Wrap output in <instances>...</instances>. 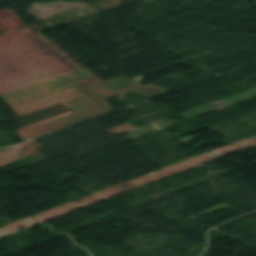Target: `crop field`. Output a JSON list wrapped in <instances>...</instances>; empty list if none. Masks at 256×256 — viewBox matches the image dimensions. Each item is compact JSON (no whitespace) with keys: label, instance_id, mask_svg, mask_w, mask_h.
Masks as SVG:
<instances>
[{"label":"crop field","instance_id":"crop-field-4","mask_svg":"<svg viewBox=\"0 0 256 256\" xmlns=\"http://www.w3.org/2000/svg\"><path fill=\"white\" fill-rule=\"evenodd\" d=\"M153 88H157L158 90L154 91V92H151V93H147V94L142 93V92H144L146 90L153 89ZM165 90H168V89L165 88V87H162V86H158V85H151V86H147V87H144L142 89H139L137 91H133L132 93L139 94V95H141L143 97H149V96H152L154 94H157V93L165 91Z\"/></svg>","mask_w":256,"mask_h":256},{"label":"crop field","instance_id":"crop-field-2","mask_svg":"<svg viewBox=\"0 0 256 256\" xmlns=\"http://www.w3.org/2000/svg\"><path fill=\"white\" fill-rule=\"evenodd\" d=\"M137 79L131 80L127 79L104 88L83 94L89 101L94 105L87 108L76 111L70 115L19 131V136L24 140H29L34 137L49 133L51 131L66 127L68 125L86 120L88 118L103 114L105 112L111 111L107 104L102 100L104 98L117 95L120 92H130L137 90L144 86L137 84V86L129 87L130 84L137 82Z\"/></svg>","mask_w":256,"mask_h":256},{"label":"crop field","instance_id":"crop-field-1","mask_svg":"<svg viewBox=\"0 0 256 256\" xmlns=\"http://www.w3.org/2000/svg\"><path fill=\"white\" fill-rule=\"evenodd\" d=\"M127 79L124 76L103 82L82 66L30 86L1 95L19 115L58 103L57 100L83 94ZM82 84V88L78 85Z\"/></svg>","mask_w":256,"mask_h":256},{"label":"crop field","instance_id":"crop-field-3","mask_svg":"<svg viewBox=\"0 0 256 256\" xmlns=\"http://www.w3.org/2000/svg\"><path fill=\"white\" fill-rule=\"evenodd\" d=\"M60 103L64 104L65 106L69 107L70 109L76 111L81 108L87 107L92 105L86 98H84L81 94L72 96L66 99L59 100Z\"/></svg>","mask_w":256,"mask_h":256}]
</instances>
